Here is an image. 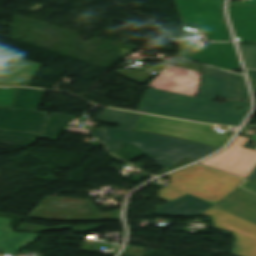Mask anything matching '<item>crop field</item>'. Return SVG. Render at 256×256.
I'll list each match as a JSON object with an SVG mask.
<instances>
[{"instance_id":"d1516ede","label":"crop field","mask_w":256,"mask_h":256,"mask_svg":"<svg viewBox=\"0 0 256 256\" xmlns=\"http://www.w3.org/2000/svg\"><path fill=\"white\" fill-rule=\"evenodd\" d=\"M210 206H212V204L195 198L193 196L187 195L157 209L155 211V214L193 216L201 214Z\"/></svg>"},{"instance_id":"f4fd0767","label":"crop field","mask_w":256,"mask_h":256,"mask_svg":"<svg viewBox=\"0 0 256 256\" xmlns=\"http://www.w3.org/2000/svg\"><path fill=\"white\" fill-rule=\"evenodd\" d=\"M175 2L183 24H193L201 28L208 40H230L222 14L223 0H175Z\"/></svg>"},{"instance_id":"e52e79f7","label":"crop field","mask_w":256,"mask_h":256,"mask_svg":"<svg viewBox=\"0 0 256 256\" xmlns=\"http://www.w3.org/2000/svg\"><path fill=\"white\" fill-rule=\"evenodd\" d=\"M247 141L236 137L228 148L200 164L246 178L256 165V150L241 147Z\"/></svg>"},{"instance_id":"cbeb9de0","label":"crop field","mask_w":256,"mask_h":256,"mask_svg":"<svg viewBox=\"0 0 256 256\" xmlns=\"http://www.w3.org/2000/svg\"><path fill=\"white\" fill-rule=\"evenodd\" d=\"M203 73L227 78L230 99L243 101L250 100L243 76L205 66Z\"/></svg>"},{"instance_id":"dd49c442","label":"crop field","mask_w":256,"mask_h":256,"mask_svg":"<svg viewBox=\"0 0 256 256\" xmlns=\"http://www.w3.org/2000/svg\"><path fill=\"white\" fill-rule=\"evenodd\" d=\"M212 126L142 115L135 130L151 131L167 136L221 147L229 135L208 132Z\"/></svg>"},{"instance_id":"733c2abd","label":"crop field","mask_w":256,"mask_h":256,"mask_svg":"<svg viewBox=\"0 0 256 256\" xmlns=\"http://www.w3.org/2000/svg\"><path fill=\"white\" fill-rule=\"evenodd\" d=\"M74 118V116L52 113L39 138L56 140L58 134L67 126L66 124Z\"/></svg>"},{"instance_id":"bc2a9ffb","label":"crop field","mask_w":256,"mask_h":256,"mask_svg":"<svg viewBox=\"0 0 256 256\" xmlns=\"http://www.w3.org/2000/svg\"><path fill=\"white\" fill-rule=\"evenodd\" d=\"M241 49L246 67L256 69V44L241 45Z\"/></svg>"},{"instance_id":"730fd06b","label":"crop field","mask_w":256,"mask_h":256,"mask_svg":"<svg viewBox=\"0 0 256 256\" xmlns=\"http://www.w3.org/2000/svg\"><path fill=\"white\" fill-rule=\"evenodd\" d=\"M250 77H256V71L247 70Z\"/></svg>"},{"instance_id":"8a807250","label":"crop field","mask_w":256,"mask_h":256,"mask_svg":"<svg viewBox=\"0 0 256 256\" xmlns=\"http://www.w3.org/2000/svg\"><path fill=\"white\" fill-rule=\"evenodd\" d=\"M217 96L229 99L224 78L203 74L198 98L149 88L138 111L174 118L238 126L250 109L249 102L210 101ZM236 105L242 110L234 109Z\"/></svg>"},{"instance_id":"92a150f3","label":"crop field","mask_w":256,"mask_h":256,"mask_svg":"<svg viewBox=\"0 0 256 256\" xmlns=\"http://www.w3.org/2000/svg\"><path fill=\"white\" fill-rule=\"evenodd\" d=\"M102 224H98V225H88V226H83V227H72V231L73 232H77V231H85V230H93V229H98L100 227H102Z\"/></svg>"},{"instance_id":"4a817a6b","label":"crop field","mask_w":256,"mask_h":256,"mask_svg":"<svg viewBox=\"0 0 256 256\" xmlns=\"http://www.w3.org/2000/svg\"><path fill=\"white\" fill-rule=\"evenodd\" d=\"M39 134L0 130V144L28 147Z\"/></svg>"},{"instance_id":"34b2d1b8","label":"crop field","mask_w":256,"mask_h":256,"mask_svg":"<svg viewBox=\"0 0 256 256\" xmlns=\"http://www.w3.org/2000/svg\"><path fill=\"white\" fill-rule=\"evenodd\" d=\"M91 135L105 144L115 141L134 144L166 169L185 157L196 161L218 149L152 133L106 127L100 128Z\"/></svg>"},{"instance_id":"d9b57169","label":"crop field","mask_w":256,"mask_h":256,"mask_svg":"<svg viewBox=\"0 0 256 256\" xmlns=\"http://www.w3.org/2000/svg\"><path fill=\"white\" fill-rule=\"evenodd\" d=\"M44 90L19 88L13 108L37 110Z\"/></svg>"},{"instance_id":"a9b5d70f","label":"crop field","mask_w":256,"mask_h":256,"mask_svg":"<svg viewBox=\"0 0 256 256\" xmlns=\"http://www.w3.org/2000/svg\"><path fill=\"white\" fill-rule=\"evenodd\" d=\"M229 5H256V0H245V3L229 2Z\"/></svg>"},{"instance_id":"214f88e0","label":"crop field","mask_w":256,"mask_h":256,"mask_svg":"<svg viewBox=\"0 0 256 256\" xmlns=\"http://www.w3.org/2000/svg\"><path fill=\"white\" fill-rule=\"evenodd\" d=\"M62 228H69V226L45 227V226H40V225H32V224L20 223L16 227L15 231L42 233L43 231L53 230V229H62Z\"/></svg>"},{"instance_id":"5142ce71","label":"crop field","mask_w":256,"mask_h":256,"mask_svg":"<svg viewBox=\"0 0 256 256\" xmlns=\"http://www.w3.org/2000/svg\"><path fill=\"white\" fill-rule=\"evenodd\" d=\"M105 111V110H104ZM142 114L107 109L98 119L102 122L118 125L117 128L134 130Z\"/></svg>"},{"instance_id":"ac0d7876","label":"crop field","mask_w":256,"mask_h":256,"mask_svg":"<svg viewBox=\"0 0 256 256\" xmlns=\"http://www.w3.org/2000/svg\"><path fill=\"white\" fill-rule=\"evenodd\" d=\"M202 215L211 217L216 228L233 232V255L256 256V195L237 188Z\"/></svg>"},{"instance_id":"dafd665d","label":"crop field","mask_w":256,"mask_h":256,"mask_svg":"<svg viewBox=\"0 0 256 256\" xmlns=\"http://www.w3.org/2000/svg\"><path fill=\"white\" fill-rule=\"evenodd\" d=\"M242 188L256 193V181L247 179L246 182L242 185Z\"/></svg>"},{"instance_id":"4177f3b9","label":"crop field","mask_w":256,"mask_h":256,"mask_svg":"<svg viewBox=\"0 0 256 256\" xmlns=\"http://www.w3.org/2000/svg\"><path fill=\"white\" fill-rule=\"evenodd\" d=\"M247 178L256 180V167L252 170V172L248 175Z\"/></svg>"},{"instance_id":"412701ff","label":"crop field","mask_w":256,"mask_h":256,"mask_svg":"<svg viewBox=\"0 0 256 256\" xmlns=\"http://www.w3.org/2000/svg\"><path fill=\"white\" fill-rule=\"evenodd\" d=\"M168 177L170 186L157 191V197L167 202L190 193L215 204L243 181L199 165H193Z\"/></svg>"},{"instance_id":"00972430","label":"crop field","mask_w":256,"mask_h":256,"mask_svg":"<svg viewBox=\"0 0 256 256\" xmlns=\"http://www.w3.org/2000/svg\"><path fill=\"white\" fill-rule=\"evenodd\" d=\"M122 144L123 143L115 142V143H112V144H108L107 146L109 147V151L115 153L116 155H119Z\"/></svg>"},{"instance_id":"3316defc","label":"crop field","mask_w":256,"mask_h":256,"mask_svg":"<svg viewBox=\"0 0 256 256\" xmlns=\"http://www.w3.org/2000/svg\"><path fill=\"white\" fill-rule=\"evenodd\" d=\"M238 41H256V6H229Z\"/></svg>"},{"instance_id":"5a996713","label":"crop field","mask_w":256,"mask_h":256,"mask_svg":"<svg viewBox=\"0 0 256 256\" xmlns=\"http://www.w3.org/2000/svg\"><path fill=\"white\" fill-rule=\"evenodd\" d=\"M47 119L46 112L0 108V129L40 133Z\"/></svg>"},{"instance_id":"d8731c3e","label":"crop field","mask_w":256,"mask_h":256,"mask_svg":"<svg viewBox=\"0 0 256 256\" xmlns=\"http://www.w3.org/2000/svg\"><path fill=\"white\" fill-rule=\"evenodd\" d=\"M180 56L227 70L240 68L231 43H209L208 48H186L183 44Z\"/></svg>"},{"instance_id":"22f410ed","label":"crop field","mask_w":256,"mask_h":256,"mask_svg":"<svg viewBox=\"0 0 256 256\" xmlns=\"http://www.w3.org/2000/svg\"><path fill=\"white\" fill-rule=\"evenodd\" d=\"M10 221L0 217V252L17 254L20 246L26 247L38 234L13 232L14 229L9 227Z\"/></svg>"},{"instance_id":"28ad6ade","label":"crop field","mask_w":256,"mask_h":256,"mask_svg":"<svg viewBox=\"0 0 256 256\" xmlns=\"http://www.w3.org/2000/svg\"><path fill=\"white\" fill-rule=\"evenodd\" d=\"M41 65L30 61L0 59V85L17 86L34 78Z\"/></svg>"}]
</instances>
